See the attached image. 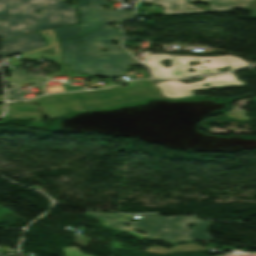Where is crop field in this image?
<instances>
[{
  "label": "crop field",
  "instance_id": "obj_4",
  "mask_svg": "<svg viewBox=\"0 0 256 256\" xmlns=\"http://www.w3.org/2000/svg\"><path fill=\"white\" fill-rule=\"evenodd\" d=\"M133 86L127 88H112L101 91H89L74 93L82 110L86 109H107L122 104L142 102L151 98L150 94L139 81H133ZM141 87V89H138Z\"/></svg>",
  "mask_w": 256,
  "mask_h": 256
},
{
  "label": "crop field",
  "instance_id": "obj_15",
  "mask_svg": "<svg viewBox=\"0 0 256 256\" xmlns=\"http://www.w3.org/2000/svg\"><path fill=\"white\" fill-rule=\"evenodd\" d=\"M152 97H162L160 93L155 89L153 84L149 81H140Z\"/></svg>",
  "mask_w": 256,
  "mask_h": 256
},
{
  "label": "crop field",
  "instance_id": "obj_17",
  "mask_svg": "<svg viewBox=\"0 0 256 256\" xmlns=\"http://www.w3.org/2000/svg\"><path fill=\"white\" fill-rule=\"evenodd\" d=\"M45 90L47 93H54V92H63L65 91L63 86H46Z\"/></svg>",
  "mask_w": 256,
  "mask_h": 256
},
{
  "label": "crop field",
  "instance_id": "obj_20",
  "mask_svg": "<svg viewBox=\"0 0 256 256\" xmlns=\"http://www.w3.org/2000/svg\"><path fill=\"white\" fill-rule=\"evenodd\" d=\"M3 102V98L2 97H0V103H2Z\"/></svg>",
  "mask_w": 256,
  "mask_h": 256
},
{
  "label": "crop field",
  "instance_id": "obj_9",
  "mask_svg": "<svg viewBox=\"0 0 256 256\" xmlns=\"http://www.w3.org/2000/svg\"><path fill=\"white\" fill-rule=\"evenodd\" d=\"M26 103H40L48 119L81 110L73 93L48 95Z\"/></svg>",
  "mask_w": 256,
  "mask_h": 256
},
{
  "label": "crop field",
  "instance_id": "obj_8",
  "mask_svg": "<svg viewBox=\"0 0 256 256\" xmlns=\"http://www.w3.org/2000/svg\"><path fill=\"white\" fill-rule=\"evenodd\" d=\"M86 214L102 219L104 221L103 222L104 225L111 226L123 231L132 232L139 236H142L143 238L152 239V240H155V238L157 237L162 227L164 226V224L169 218V217L142 215L141 216L142 219L139 222H127L128 220L133 218V215H115L111 213L104 215L101 212H86ZM125 223H129L131 225L129 227H125L124 226ZM133 227L145 230L147 231V234L143 236L134 231H130L131 228ZM147 235H149V237Z\"/></svg>",
  "mask_w": 256,
  "mask_h": 256
},
{
  "label": "crop field",
  "instance_id": "obj_19",
  "mask_svg": "<svg viewBox=\"0 0 256 256\" xmlns=\"http://www.w3.org/2000/svg\"><path fill=\"white\" fill-rule=\"evenodd\" d=\"M4 105L0 106V116L3 114Z\"/></svg>",
  "mask_w": 256,
  "mask_h": 256
},
{
  "label": "crop field",
  "instance_id": "obj_12",
  "mask_svg": "<svg viewBox=\"0 0 256 256\" xmlns=\"http://www.w3.org/2000/svg\"><path fill=\"white\" fill-rule=\"evenodd\" d=\"M10 71L13 78L12 82H10L9 79H5L6 82L10 83L12 87V89H7L9 100L25 99L24 97L21 96L22 92L20 91L18 84L43 83L46 81L45 78L37 77L27 73H21V70L19 69H10ZM12 85L16 86L17 89H15Z\"/></svg>",
  "mask_w": 256,
  "mask_h": 256
},
{
  "label": "crop field",
  "instance_id": "obj_11",
  "mask_svg": "<svg viewBox=\"0 0 256 256\" xmlns=\"http://www.w3.org/2000/svg\"><path fill=\"white\" fill-rule=\"evenodd\" d=\"M0 44L2 47L0 57H8L45 46L46 42L40 38L38 32H35L14 40L2 41Z\"/></svg>",
  "mask_w": 256,
  "mask_h": 256
},
{
  "label": "crop field",
  "instance_id": "obj_18",
  "mask_svg": "<svg viewBox=\"0 0 256 256\" xmlns=\"http://www.w3.org/2000/svg\"><path fill=\"white\" fill-rule=\"evenodd\" d=\"M249 5L256 6V0L252 1ZM249 18H256V15H250Z\"/></svg>",
  "mask_w": 256,
  "mask_h": 256
},
{
  "label": "crop field",
  "instance_id": "obj_3",
  "mask_svg": "<svg viewBox=\"0 0 256 256\" xmlns=\"http://www.w3.org/2000/svg\"><path fill=\"white\" fill-rule=\"evenodd\" d=\"M167 54H154L149 55V60L146 62L155 78H184L188 76L194 75H203L208 73H218L221 72V69H226V66H230V69H226L227 71L243 68L245 66H250V64L243 62L241 58L224 56V57H186V56H173V58L169 57ZM193 58V60H190ZM164 59L171 60V67L165 68ZM205 60H208V63H205ZM159 61H163V64H160ZM191 61L195 64V66H190ZM200 61L201 64H197L196 62ZM177 63V65H173ZM204 66V68H201ZM188 68H193L194 73L189 72ZM215 68L219 69L218 71L214 70ZM225 71V72H227Z\"/></svg>",
  "mask_w": 256,
  "mask_h": 256
},
{
  "label": "crop field",
  "instance_id": "obj_1",
  "mask_svg": "<svg viewBox=\"0 0 256 256\" xmlns=\"http://www.w3.org/2000/svg\"><path fill=\"white\" fill-rule=\"evenodd\" d=\"M105 4L106 0H78L85 61L82 57L80 39L63 40L78 36L77 25L54 29L61 43L64 63L71 66L73 72L117 77L124 74L126 65L138 63L112 44L111 41L118 38L121 40V37L114 29L107 27L109 22L129 19L133 12H103L101 7ZM125 15H129V18H124ZM99 48H106L108 53L101 52ZM100 54L105 55L101 57ZM105 66H108V69H105Z\"/></svg>",
  "mask_w": 256,
  "mask_h": 256
},
{
  "label": "crop field",
  "instance_id": "obj_5",
  "mask_svg": "<svg viewBox=\"0 0 256 256\" xmlns=\"http://www.w3.org/2000/svg\"><path fill=\"white\" fill-rule=\"evenodd\" d=\"M187 224H197V226L189 230ZM212 225L207 221L197 219L195 217H172L169 218L162 231L156 238L167 243L183 242L189 240H200L210 242L212 238L207 233V229Z\"/></svg>",
  "mask_w": 256,
  "mask_h": 256
},
{
  "label": "crop field",
  "instance_id": "obj_7",
  "mask_svg": "<svg viewBox=\"0 0 256 256\" xmlns=\"http://www.w3.org/2000/svg\"><path fill=\"white\" fill-rule=\"evenodd\" d=\"M189 2H203L210 5V9L204 11L197 9L185 0H142L151 4L164 6L163 14L184 13H217L229 12L232 8H245L252 0H188Z\"/></svg>",
  "mask_w": 256,
  "mask_h": 256
},
{
  "label": "crop field",
  "instance_id": "obj_6",
  "mask_svg": "<svg viewBox=\"0 0 256 256\" xmlns=\"http://www.w3.org/2000/svg\"><path fill=\"white\" fill-rule=\"evenodd\" d=\"M152 81V80H151ZM164 81L162 83L156 84L155 80L152 82L155 87L160 88L159 92L163 97L169 99H183L195 96L191 90H200V89H211V88H220L226 86H245L246 84L236 78L233 73L206 77L204 81L197 82V86L193 84H186L180 81ZM207 83L208 86L203 87L202 84Z\"/></svg>",
  "mask_w": 256,
  "mask_h": 256
},
{
  "label": "crop field",
  "instance_id": "obj_16",
  "mask_svg": "<svg viewBox=\"0 0 256 256\" xmlns=\"http://www.w3.org/2000/svg\"><path fill=\"white\" fill-rule=\"evenodd\" d=\"M65 252H66L67 256H90L88 254L80 255V252L77 247L67 248V249H65Z\"/></svg>",
  "mask_w": 256,
  "mask_h": 256
},
{
  "label": "crop field",
  "instance_id": "obj_13",
  "mask_svg": "<svg viewBox=\"0 0 256 256\" xmlns=\"http://www.w3.org/2000/svg\"><path fill=\"white\" fill-rule=\"evenodd\" d=\"M7 108H8V112L6 115H10V116L39 115L33 110L34 108H37L36 105H7Z\"/></svg>",
  "mask_w": 256,
  "mask_h": 256
},
{
  "label": "crop field",
  "instance_id": "obj_2",
  "mask_svg": "<svg viewBox=\"0 0 256 256\" xmlns=\"http://www.w3.org/2000/svg\"><path fill=\"white\" fill-rule=\"evenodd\" d=\"M66 1L72 0H0V37L9 39L33 30L76 23V1H72V7ZM33 10L42 13L34 14Z\"/></svg>",
  "mask_w": 256,
  "mask_h": 256
},
{
  "label": "crop field",
  "instance_id": "obj_10",
  "mask_svg": "<svg viewBox=\"0 0 256 256\" xmlns=\"http://www.w3.org/2000/svg\"><path fill=\"white\" fill-rule=\"evenodd\" d=\"M40 32L43 35V37L45 38V40L47 42V46L29 51V52L22 53L20 55V59H19L17 67L20 66L21 60L37 59L40 57H44L45 60H49L56 64H59L62 67L64 73L72 72L69 66L62 63L60 50H59V46H58V41H57V38H56L53 30L48 29V30H42Z\"/></svg>",
  "mask_w": 256,
  "mask_h": 256
},
{
  "label": "crop field",
  "instance_id": "obj_14",
  "mask_svg": "<svg viewBox=\"0 0 256 256\" xmlns=\"http://www.w3.org/2000/svg\"><path fill=\"white\" fill-rule=\"evenodd\" d=\"M212 247H199L197 244H189L185 246H176L173 249H164L161 247H154L147 249L148 252H156V253H173V252H183V251H195V250H210Z\"/></svg>",
  "mask_w": 256,
  "mask_h": 256
}]
</instances>
